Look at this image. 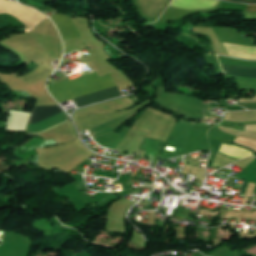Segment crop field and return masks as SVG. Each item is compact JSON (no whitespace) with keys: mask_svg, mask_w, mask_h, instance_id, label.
Segmentation results:
<instances>
[{"mask_svg":"<svg viewBox=\"0 0 256 256\" xmlns=\"http://www.w3.org/2000/svg\"><path fill=\"white\" fill-rule=\"evenodd\" d=\"M224 74L237 75L243 77H256V68L244 66L221 65Z\"/></svg>","mask_w":256,"mask_h":256,"instance_id":"412701ff","label":"crop field"},{"mask_svg":"<svg viewBox=\"0 0 256 256\" xmlns=\"http://www.w3.org/2000/svg\"><path fill=\"white\" fill-rule=\"evenodd\" d=\"M62 112L59 106L34 107L28 125L38 124Z\"/></svg>","mask_w":256,"mask_h":256,"instance_id":"34b2d1b8","label":"crop field"},{"mask_svg":"<svg viewBox=\"0 0 256 256\" xmlns=\"http://www.w3.org/2000/svg\"><path fill=\"white\" fill-rule=\"evenodd\" d=\"M247 11H256V5H248Z\"/></svg>","mask_w":256,"mask_h":256,"instance_id":"dd49c442","label":"crop field"},{"mask_svg":"<svg viewBox=\"0 0 256 256\" xmlns=\"http://www.w3.org/2000/svg\"><path fill=\"white\" fill-rule=\"evenodd\" d=\"M112 88H116V85L110 74L100 77L96 73L85 75L72 81L67 79L48 86V90L59 103ZM120 95H122L120 90L116 88L74 99V102L77 107H80Z\"/></svg>","mask_w":256,"mask_h":256,"instance_id":"8a807250","label":"crop field"},{"mask_svg":"<svg viewBox=\"0 0 256 256\" xmlns=\"http://www.w3.org/2000/svg\"><path fill=\"white\" fill-rule=\"evenodd\" d=\"M233 2H239V3H256V0H228Z\"/></svg>","mask_w":256,"mask_h":256,"instance_id":"f4fd0767","label":"crop field"},{"mask_svg":"<svg viewBox=\"0 0 256 256\" xmlns=\"http://www.w3.org/2000/svg\"><path fill=\"white\" fill-rule=\"evenodd\" d=\"M50 18L57 26L63 41L80 38L81 35L72 18L64 14H53Z\"/></svg>","mask_w":256,"mask_h":256,"instance_id":"ac0d7876","label":"crop field"}]
</instances>
